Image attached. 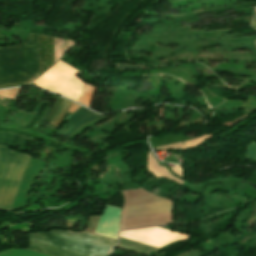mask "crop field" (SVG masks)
<instances>
[{"instance_id":"d1516ede","label":"crop field","mask_w":256,"mask_h":256,"mask_svg":"<svg viewBox=\"0 0 256 256\" xmlns=\"http://www.w3.org/2000/svg\"><path fill=\"white\" fill-rule=\"evenodd\" d=\"M171 168V167H170ZM172 171L177 174L178 176L182 177L183 178V175H182V169L180 166H177L175 165L174 168H171Z\"/></svg>"},{"instance_id":"8a807250","label":"crop field","mask_w":256,"mask_h":256,"mask_svg":"<svg viewBox=\"0 0 256 256\" xmlns=\"http://www.w3.org/2000/svg\"><path fill=\"white\" fill-rule=\"evenodd\" d=\"M28 248L52 256H108L116 241L73 231L28 234Z\"/></svg>"},{"instance_id":"dd49c442","label":"crop field","mask_w":256,"mask_h":256,"mask_svg":"<svg viewBox=\"0 0 256 256\" xmlns=\"http://www.w3.org/2000/svg\"><path fill=\"white\" fill-rule=\"evenodd\" d=\"M157 162L158 161L152 156L151 152H149L147 155V168L151 174H153L154 176H156L158 178H168L172 181L181 183L187 187L192 186L189 183H186L184 181H181V180L173 177L165 167L159 166V164Z\"/></svg>"},{"instance_id":"5a996713","label":"crop field","mask_w":256,"mask_h":256,"mask_svg":"<svg viewBox=\"0 0 256 256\" xmlns=\"http://www.w3.org/2000/svg\"><path fill=\"white\" fill-rule=\"evenodd\" d=\"M245 159L256 160V142H251L246 150Z\"/></svg>"},{"instance_id":"d8731c3e","label":"crop field","mask_w":256,"mask_h":256,"mask_svg":"<svg viewBox=\"0 0 256 256\" xmlns=\"http://www.w3.org/2000/svg\"><path fill=\"white\" fill-rule=\"evenodd\" d=\"M71 105V102L63 99L62 103L60 104L56 114L54 115L53 119L51 120L50 124H53L57 126V124L60 122L62 117L65 115L67 109Z\"/></svg>"},{"instance_id":"22f410ed","label":"crop field","mask_w":256,"mask_h":256,"mask_svg":"<svg viewBox=\"0 0 256 256\" xmlns=\"http://www.w3.org/2000/svg\"><path fill=\"white\" fill-rule=\"evenodd\" d=\"M78 108H80V106H78V105L72 103V105H71V107L69 108L68 112L72 114V113L75 112Z\"/></svg>"},{"instance_id":"412701ff","label":"crop field","mask_w":256,"mask_h":256,"mask_svg":"<svg viewBox=\"0 0 256 256\" xmlns=\"http://www.w3.org/2000/svg\"><path fill=\"white\" fill-rule=\"evenodd\" d=\"M119 235L159 248L177 239L183 240L190 237L189 235L168 231L158 227L120 232Z\"/></svg>"},{"instance_id":"3316defc","label":"crop field","mask_w":256,"mask_h":256,"mask_svg":"<svg viewBox=\"0 0 256 256\" xmlns=\"http://www.w3.org/2000/svg\"><path fill=\"white\" fill-rule=\"evenodd\" d=\"M19 89L20 88L0 91V96L7 97V98L15 100L16 97H17Z\"/></svg>"},{"instance_id":"ac0d7876","label":"crop field","mask_w":256,"mask_h":256,"mask_svg":"<svg viewBox=\"0 0 256 256\" xmlns=\"http://www.w3.org/2000/svg\"><path fill=\"white\" fill-rule=\"evenodd\" d=\"M38 77L36 35L0 48V88L29 84Z\"/></svg>"},{"instance_id":"e52e79f7","label":"crop field","mask_w":256,"mask_h":256,"mask_svg":"<svg viewBox=\"0 0 256 256\" xmlns=\"http://www.w3.org/2000/svg\"><path fill=\"white\" fill-rule=\"evenodd\" d=\"M118 247L129 250V251H133V252H136V253H139V254H143V255H146V256H148L152 251H157L158 250V248H154V247H151V246H148V245H144V244L137 243V242H134V241H130V240L120 238V237H119Z\"/></svg>"},{"instance_id":"34b2d1b8","label":"crop field","mask_w":256,"mask_h":256,"mask_svg":"<svg viewBox=\"0 0 256 256\" xmlns=\"http://www.w3.org/2000/svg\"><path fill=\"white\" fill-rule=\"evenodd\" d=\"M28 157L0 145V208H11Z\"/></svg>"},{"instance_id":"f4fd0767","label":"crop field","mask_w":256,"mask_h":256,"mask_svg":"<svg viewBox=\"0 0 256 256\" xmlns=\"http://www.w3.org/2000/svg\"><path fill=\"white\" fill-rule=\"evenodd\" d=\"M101 117L104 116H98L95 113L81 107L65 120L67 123L59 130L56 135L69 137L71 133H73L79 126L85 124V122Z\"/></svg>"},{"instance_id":"5142ce71","label":"crop field","mask_w":256,"mask_h":256,"mask_svg":"<svg viewBox=\"0 0 256 256\" xmlns=\"http://www.w3.org/2000/svg\"><path fill=\"white\" fill-rule=\"evenodd\" d=\"M256 18V17H255Z\"/></svg>"},{"instance_id":"cbeb9de0","label":"crop field","mask_w":256,"mask_h":256,"mask_svg":"<svg viewBox=\"0 0 256 256\" xmlns=\"http://www.w3.org/2000/svg\"><path fill=\"white\" fill-rule=\"evenodd\" d=\"M251 25H252V27H256V19H253Z\"/></svg>"},{"instance_id":"28ad6ade","label":"crop field","mask_w":256,"mask_h":256,"mask_svg":"<svg viewBox=\"0 0 256 256\" xmlns=\"http://www.w3.org/2000/svg\"><path fill=\"white\" fill-rule=\"evenodd\" d=\"M169 148L186 149V146H185L184 142H181V143L161 146V147H157V148H153V149H169Z\"/></svg>"}]
</instances>
